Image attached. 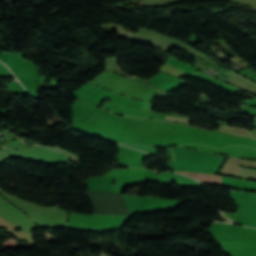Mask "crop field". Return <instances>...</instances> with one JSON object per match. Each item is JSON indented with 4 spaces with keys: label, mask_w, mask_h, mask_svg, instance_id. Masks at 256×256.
Listing matches in <instances>:
<instances>
[{
    "label": "crop field",
    "mask_w": 256,
    "mask_h": 256,
    "mask_svg": "<svg viewBox=\"0 0 256 256\" xmlns=\"http://www.w3.org/2000/svg\"><path fill=\"white\" fill-rule=\"evenodd\" d=\"M171 157L176 171L215 174L225 157L200 151L171 147Z\"/></svg>",
    "instance_id": "8a807250"
},
{
    "label": "crop field",
    "mask_w": 256,
    "mask_h": 256,
    "mask_svg": "<svg viewBox=\"0 0 256 256\" xmlns=\"http://www.w3.org/2000/svg\"><path fill=\"white\" fill-rule=\"evenodd\" d=\"M187 174H191L195 177H198L202 181L208 184H214V185H220L222 177L216 176V175H210V174H200V173H189L184 172Z\"/></svg>",
    "instance_id": "ac0d7876"
},
{
    "label": "crop field",
    "mask_w": 256,
    "mask_h": 256,
    "mask_svg": "<svg viewBox=\"0 0 256 256\" xmlns=\"http://www.w3.org/2000/svg\"><path fill=\"white\" fill-rule=\"evenodd\" d=\"M166 119H168V118H166ZM172 120H175V119H172ZM183 121H185V120H183ZM187 122V121H186Z\"/></svg>",
    "instance_id": "34b2d1b8"
},
{
    "label": "crop field",
    "mask_w": 256,
    "mask_h": 256,
    "mask_svg": "<svg viewBox=\"0 0 256 256\" xmlns=\"http://www.w3.org/2000/svg\"><path fill=\"white\" fill-rule=\"evenodd\" d=\"M3 147V146H2ZM5 148V147H4ZM7 149V148H6Z\"/></svg>",
    "instance_id": "412701ff"
}]
</instances>
